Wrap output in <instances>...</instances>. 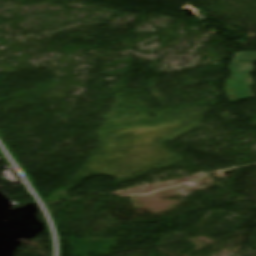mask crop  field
Returning <instances> with one entry per match:
<instances>
[{
	"instance_id": "1",
	"label": "crop field",
	"mask_w": 256,
	"mask_h": 256,
	"mask_svg": "<svg viewBox=\"0 0 256 256\" xmlns=\"http://www.w3.org/2000/svg\"><path fill=\"white\" fill-rule=\"evenodd\" d=\"M252 62L256 53H236L231 64V79L226 80V91L232 103L254 98L250 85H254L249 73H253Z\"/></svg>"
}]
</instances>
